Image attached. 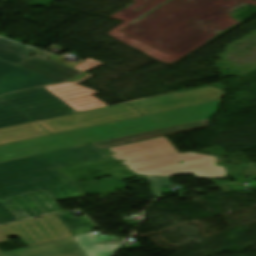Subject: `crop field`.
I'll return each instance as SVG.
<instances>
[{
  "label": "crop field",
  "mask_w": 256,
  "mask_h": 256,
  "mask_svg": "<svg viewBox=\"0 0 256 256\" xmlns=\"http://www.w3.org/2000/svg\"><path fill=\"white\" fill-rule=\"evenodd\" d=\"M199 191V193H204V192H202L201 190H198Z\"/></svg>",
  "instance_id": "27"
},
{
  "label": "crop field",
  "mask_w": 256,
  "mask_h": 256,
  "mask_svg": "<svg viewBox=\"0 0 256 256\" xmlns=\"http://www.w3.org/2000/svg\"><path fill=\"white\" fill-rule=\"evenodd\" d=\"M52 83L56 82L18 65L0 60V95Z\"/></svg>",
  "instance_id": "9"
},
{
  "label": "crop field",
  "mask_w": 256,
  "mask_h": 256,
  "mask_svg": "<svg viewBox=\"0 0 256 256\" xmlns=\"http://www.w3.org/2000/svg\"><path fill=\"white\" fill-rule=\"evenodd\" d=\"M4 201L23 219L61 210L46 190L5 199Z\"/></svg>",
  "instance_id": "10"
},
{
  "label": "crop field",
  "mask_w": 256,
  "mask_h": 256,
  "mask_svg": "<svg viewBox=\"0 0 256 256\" xmlns=\"http://www.w3.org/2000/svg\"><path fill=\"white\" fill-rule=\"evenodd\" d=\"M225 92L214 87L199 88L141 102L130 103L144 115L222 99Z\"/></svg>",
  "instance_id": "7"
},
{
  "label": "crop field",
  "mask_w": 256,
  "mask_h": 256,
  "mask_svg": "<svg viewBox=\"0 0 256 256\" xmlns=\"http://www.w3.org/2000/svg\"><path fill=\"white\" fill-rule=\"evenodd\" d=\"M51 57L55 59V58H57L58 56H56V55H52Z\"/></svg>",
  "instance_id": "25"
},
{
  "label": "crop field",
  "mask_w": 256,
  "mask_h": 256,
  "mask_svg": "<svg viewBox=\"0 0 256 256\" xmlns=\"http://www.w3.org/2000/svg\"><path fill=\"white\" fill-rule=\"evenodd\" d=\"M56 216L68 229L69 232L93 226V224L86 218V216L76 218L68 211L56 214Z\"/></svg>",
  "instance_id": "18"
},
{
  "label": "crop field",
  "mask_w": 256,
  "mask_h": 256,
  "mask_svg": "<svg viewBox=\"0 0 256 256\" xmlns=\"http://www.w3.org/2000/svg\"><path fill=\"white\" fill-rule=\"evenodd\" d=\"M139 115L141 114L129 105L124 104L48 120L38 124L51 134H55Z\"/></svg>",
  "instance_id": "5"
},
{
  "label": "crop field",
  "mask_w": 256,
  "mask_h": 256,
  "mask_svg": "<svg viewBox=\"0 0 256 256\" xmlns=\"http://www.w3.org/2000/svg\"><path fill=\"white\" fill-rule=\"evenodd\" d=\"M72 237L79 244L80 247L85 246V245H89V244H93V243H97V242H105V241H109V240L118 239V238L113 237V236L99 237V236H95L91 233L78 235V236H72Z\"/></svg>",
  "instance_id": "20"
},
{
  "label": "crop field",
  "mask_w": 256,
  "mask_h": 256,
  "mask_svg": "<svg viewBox=\"0 0 256 256\" xmlns=\"http://www.w3.org/2000/svg\"><path fill=\"white\" fill-rule=\"evenodd\" d=\"M107 149L114 152V154L107 153ZM102 151L122 165L179 153L166 137L106 148L102 149ZM122 159L125 162H121L120 160Z\"/></svg>",
  "instance_id": "8"
},
{
  "label": "crop field",
  "mask_w": 256,
  "mask_h": 256,
  "mask_svg": "<svg viewBox=\"0 0 256 256\" xmlns=\"http://www.w3.org/2000/svg\"><path fill=\"white\" fill-rule=\"evenodd\" d=\"M48 134L49 133L35 123L1 129L0 145Z\"/></svg>",
  "instance_id": "15"
},
{
  "label": "crop field",
  "mask_w": 256,
  "mask_h": 256,
  "mask_svg": "<svg viewBox=\"0 0 256 256\" xmlns=\"http://www.w3.org/2000/svg\"><path fill=\"white\" fill-rule=\"evenodd\" d=\"M30 121L32 120L20 113L8 103L4 102L3 105H0V128Z\"/></svg>",
  "instance_id": "17"
},
{
  "label": "crop field",
  "mask_w": 256,
  "mask_h": 256,
  "mask_svg": "<svg viewBox=\"0 0 256 256\" xmlns=\"http://www.w3.org/2000/svg\"><path fill=\"white\" fill-rule=\"evenodd\" d=\"M155 197H162L160 187L171 186L170 179L166 177H150Z\"/></svg>",
  "instance_id": "22"
},
{
  "label": "crop field",
  "mask_w": 256,
  "mask_h": 256,
  "mask_svg": "<svg viewBox=\"0 0 256 256\" xmlns=\"http://www.w3.org/2000/svg\"><path fill=\"white\" fill-rule=\"evenodd\" d=\"M7 237L1 230H0V238H5Z\"/></svg>",
  "instance_id": "24"
},
{
  "label": "crop field",
  "mask_w": 256,
  "mask_h": 256,
  "mask_svg": "<svg viewBox=\"0 0 256 256\" xmlns=\"http://www.w3.org/2000/svg\"><path fill=\"white\" fill-rule=\"evenodd\" d=\"M216 156L182 153L125 165L137 175L167 176L194 174L196 178H227L225 167L215 164ZM184 161L183 164H178Z\"/></svg>",
  "instance_id": "4"
},
{
  "label": "crop field",
  "mask_w": 256,
  "mask_h": 256,
  "mask_svg": "<svg viewBox=\"0 0 256 256\" xmlns=\"http://www.w3.org/2000/svg\"><path fill=\"white\" fill-rule=\"evenodd\" d=\"M221 100L0 147V162L209 119Z\"/></svg>",
  "instance_id": "1"
},
{
  "label": "crop field",
  "mask_w": 256,
  "mask_h": 256,
  "mask_svg": "<svg viewBox=\"0 0 256 256\" xmlns=\"http://www.w3.org/2000/svg\"><path fill=\"white\" fill-rule=\"evenodd\" d=\"M211 125L212 124L210 123V121L206 120V121L191 123V124H187V125H182V126H177V127H172V128H167V129H162V130H157V131H152V132H147V133H142V134H137V135H132V136H128V137L93 143V145L99 149H102V148H106V147L130 143V142H134V141L171 135V134L189 131V130H193V129H198V128H202V127H207V126H211Z\"/></svg>",
  "instance_id": "14"
},
{
  "label": "crop field",
  "mask_w": 256,
  "mask_h": 256,
  "mask_svg": "<svg viewBox=\"0 0 256 256\" xmlns=\"http://www.w3.org/2000/svg\"><path fill=\"white\" fill-rule=\"evenodd\" d=\"M99 92L71 82L1 96L33 121L106 106L91 94Z\"/></svg>",
  "instance_id": "3"
},
{
  "label": "crop field",
  "mask_w": 256,
  "mask_h": 256,
  "mask_svg": "<svg viewBox=\"0 0 256 256\" xmlns=\"http://www.w3.org/2000/svg\"><path fill=\"white\" fill-rule=\"evenodd\" d=\"M38 51L0 38V59L17 64Z\"/></svg>",
  "instance_id": "16"
},
{
  "label": "crop field",
  "mask_w": 256,
  "mask_h": 256,
  "mask_svg": "<svg viewBox=\"0 0 256 256\" xmlns=\"http://www.w3.org/2000/svg\"><path fill=\"white\" fill-rule=\"evenodd\" d=\"M180 198H184L183 193H182V194H180Z\"/></svg>",
  "instance_id": "26"
},
{
  "label": "crop field",
  "mask_w": 256,
  "mask_h": 256,
  "mask_svg": "<svg viewBox=\"0 0 256 256\" xmlns=\"http://www.w3.org/2000/svg\"><path fill=\"white\" fill-rule=\"evenodd\" d=\"M102 64H104V63H101V62H98L96 60L88 58V59L84 60V62L82 64H80V65H78V66H76L74 68L79 69V70L85 72L87 70H90V69H92L94 67H97L99 65H102ZM91 76L92 75L84 73L83 75L77 77L76 79L72 80L71 82H74V83L78 84V83L84 81L85 79H87V78H89Z\"/></svg>",
  "instance_id": "21"
},
{
  "label": "crop field",
  "mask_w": 256,
  "mask_h": 256,
  "mask_svg": "<svg viewBox=\"0 0 256 256\" xmlns=\"http://www.w3.org/2000/svg\"><path fill=\"white\" fill-rule=\"evenodd\" d=\"M0 256H86L72 237L0 253Z\"/></svg>",
  "instance_id": "12"
},
{
  "label": "crop field",
  "mask_w": 256,
  "mask_h": 256,
  "mask_svg": "<svg viewBox=\"0 0 256 256\" xmlns=\"http://www.w3.org/2000/svg\"><path fill=\"white\" fill-rule=\"evenodd\" d=\"M118 247L119 245L115 244L98 243L82 247V249L88 256H109Z\"/></svg>",
  "instance_id": "19"
},
{
  "label": "crop field",
  "mask_w": 256,
  "mask_h": 256,
  "mask_svg": "<svg viewBox=\"0 0 256 256\" xmlns=\"http://www.w3.org/2000/svg\"><path fill=\"white\" fill-rule=\"evenodd\" d=\"M43 189L55 201L83 196L68 180L34 156L0 163V224L22 219L2 199Z\"/></svg>",
  "instance_id": "2"
},
{
  "label": "crop field",
  "mask_w": 256,
  "mask_h": 256,
  "mask_svg": "<svg viewBox=\"0 0 256 256\" xmlns=\"http://www.w3.org/2000/svg\"><path fill=\"white\" fill-rule=\"evenodd\" d=\"M245 169L246 167H242L240 165L226 166L227 175L232 177H238Z\"/></svg>",
  "instance_id": "23"
},
{
  "label": "crop field",
  "mask_w": 256,
  "mask_h": 256,
  "mask_svg": "<svg viewBox=\"0 0 256 256\" xmlns=\"http://www.w3.org/2000/svg\"><path fill=\"white\" fill-rule=\"evenodd\" d=\"M49 53L38 52L29 57L18 65L53 79L57 82H62L71 79L79 74V72L69 69L53 60L47 59Z\"/></svg>",
  "instance_id": "13"
},
{
  "label": "crop field",
  "mask_w": 256,
  "mask_h": 256,
  "mask_svg": "<svg viewBox=\"0 0 256 256\" xmlns=\"http://www.w3.org/2000/svg\"><path fill=\"white\" fill-rule=\"evenodd\" d=\"M8 236H16L25 246L72 236L55 215L0 226Z\"/></svg>",
  "instance_id": "6"
},
{
  "label": "crop field",
  "mask_w": 256,
  "mask_h": 256,
  "mask_svg": "<svg viewBox=\"0 0 256 256\" xmlns=\"http://www.w3.org/2000/svg\"><path fill=\"white\" fill-rule=\"evenodd\" d=\"M36 157L53 169L108 158L106 154L91 145L40 154Z\"/></svg>",
  "instance_id": "11"
}]
</instances>
